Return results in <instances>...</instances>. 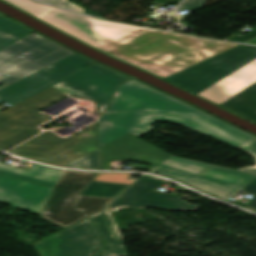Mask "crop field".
Returning <instances> with one entry per match:
<instances>
[{
	"label": "crop field",
	"mask_w": 256,
	"mask_h": 256,
	"mask_svg": "<svg viewBox=\"0 0 256 256\" xmlns=\"http://www.w3.org/2000/svg\"><path fill=\"white\" fill-rule=\"evenodd\" d=\"M38 19L163 79L236 44L101 22L31 0H5Z\"/></svg>",
	"instance_id": "crop-field-1"
},
{
	"label": "crop field",
	"mask_w": 256,
	"mask_h": 256,
	"mask_svg": "<svg viewBox=\"0 0 256 256\" xmlns=\"http://www.w3.org/2000/svg\"><path fill=\"white\" fill-rule=\"evenodd\" d=\"M114 115L138 126L139 129L133 132L137 136L150 131L152 122L166 121L211 136L236 148H241L256 138L133 78L118 87L97 126L100 147L129 133L106 122Z\"/></svg>",
	"instance_id": "crop-field-2"
},
{
	"label": "crop field",
	"mask_w": 256,
	"mask_h": 256,
	"mask_svg": "<svg viewBox=\"0 0 256 256\" xmlns=\"http://www.w3.org/2000/svg\"><path fill=\"white\" fill-rule=\"evenodd\" d=\"M111 70L95 63L0 112V149L6 150L38 133L37 127L48 119L37 110L65 95L92 99L101 105L100 112H104L117 85L129 78Z\"/></svg>",
	"instance_id": "crop-field-3"
},
{
	"label": "crop field",
	"mask_w": 256,
	"mask_h": 256,
	"mask_svg": "<svg viewBox=\"0 0 256 256\" xmlns=\"http://www.w3.org/2000/svg\"><path fill=\"white\" fill-rule=\"evenodd\" d=\"M90 219L107 243L100 256H127L108 209ZM103 245L88 219L35 244L42 256H98Z\"/></svg>",
	"instance_id": "crop-field-4"
},
{
	"label": "crop field",
	"mask_w": 256,
	"mask_h": 256,
	"mask_svg": "<svg viewBox=\"0 0 256 256\" xmlns=\"http://www.w3.org/2000/svg\"><path fill=\"white\" fill-rule=\"evenodd\" d=\"M95 174L64 170L41 217L65 228L104 209L113 199L80 196Z\"/></svg>",
	"instance_id": "crop-field-5"
},
{
	"label": "crop field",
	"mask_w": 256,
	"mask_h": 256,
	"mask_svg": "<svg viewBox=\"0 0 256 256\" xmlns=\"http://www.w3.org/2000/svg\"><path fill=\"white\" fill-rule=\"evenodd\" d=\"M71 53L36 33L6 47L0 51V73L10 75L0 89Z\"/></svg>",
	"instance_id": "crop-field-6"
},
{
	"label": "crop field",
	"mask_w": 256,
	"mask_h": 256,
	"mask_svg": "<svg viewBox=\"0 0 256 256\" xmlns=\"http://www.w3.org/2000/svg\"><path fill=\"white\" fill-rule=\"evenodd\" d=\"M97 148L98 142L93 124L87 127L85 132L66 139L47 132L11 152L32 160L62 166Z\"/></svg>",
	"instance_id": "crop-field-7"
},
{
	"label": "crop field",
	"mask_w": 256,
	"mask_h": 256,
	"mask_svg": "<svg viewBox=\"0 0 256 256\" xmlns=\"http://www.w3.org/2000/svg\"><path fill=\"white\" fill-rule=\"evenodd\" d=\"M256 58V47L239 45L165 80L195 94Z\"/></svg>",
	"instance_id": "crop-field-8"
},
{
	"label": "crop field",
	"mask_w": 256,
	"mask_h": 256,
	"mask_svg": "<svg viewBox=\"0 0 256 256\" xmlns=\"http://www.w3.org/2000/svg\"><path fill=\"white\" fill-rule=\"evenodd\" d=\"M92 63L94 62L74 53L0 90V100L13 105Z\"/></svg>",
	"instance_id": "crop-field-9"
},
{
	"label": "crop field",
	"mask_w": 256,
	"mask_h": 256,
	"mask_svg": "<svg viewBox=\"0 0 256 256\" xmlns=\"http://www.w3.org/2000/svg\"><path fill=\"white\" fill-rule=\"evenodd\" d=\"M169 181L161 178L144 175L134 183L118 200L109 208L117 210L120 207H137L146 206L168 209L195 211L200 206L187 204L180 196L167 195L155 192V189Z\"/></svg>",
	"instance_id": "crop-field-10"
},
{
	"label": "crop field",
	"mask_w": 256,
	"mask_h": 256,
	"mask_svg": "<svg viewBox=\"0 0 256 256\" xmlns=\"http://www.w3.org/2000/svg\"><path fill=\"white\" fill-rule=\"evenodd\" d=\"M254 178L256 175L213 165L185 183L226 200Z\"/></svg>",
	"instance_id": "crop-field-11"
},
{
	"label": "crop field",
	"mask_w": 256,
	"mask_h": 256,
	"mask_svg": "<svg viewBox=\"0 0 256 256\" xmlns=\"http://www.w3.org/2000/svg\"><path fill=\"white\" fill-rule=\"evenodd\" d=\"M53 188L0 175V202L41 215Z\"/></svg>",
	"instance_id": "crop-field-12"
},
{
	"label": "crop field",
	"mask_w": 256,
	"mask_h": 256,
	"mask_svg": "<svg viewBox=\"0 0 256 256\" xmlns=\"http://www.w3.org/2000/svg\"><path fill=\"white\" fill-rule=\"evenodd\" d=\"M103 168L110 170L109 160L132 159L157 165L172 156L157 147L128 134L101 148Z\"/></svg>",
	"instance_id": "crop-field-13"
},
{
	"label": "crop field",
	"mask_w": 256,
	"mask_h": 256,
	"mask_svg": "<svg viewBox=\"0 0 256 256\" xmlns=\"http://www.w3.org/2000/svg\"><path fill=\"white\" fill-rule=\"evenodd\" d=\"M256 82V59L198 95L216 103L236 95Z\"/></svg>",
	"instance_id": "crop-field-14"
},
{
	"label": "crop field",
	"mask_w": 256,
	"mask_h": 256,
	"mask_svg": "<svg viewBox=\"0 0 256 256\" xmlns=\"http://www.w3.org/2000/svg\"><path fill=\"white\" fill-rule=\"evenodd\" d=\"M210 166L209 164L172 156L153 168L151 172L185 182Z\"/></svg>",
	"instance_id": "crop-field-15"
},
{
	"label": "crop field",
	"mask_w": 256,
	"mask_h": 256,
	"mask_svg": "<svg viewBox=\"0 0 256 256\" xmlns=\"http://www.w3.org/2000/svg\"><path fill=\"white\" fill-rule=\"evenodd\" d=\"M62 170L34 164L28 171L0 164V174L55 187Z\"/></svg>",
	"instance_id": "crop-field-16"
},
{
	"label": "crop field",
	"mask_w": 256,
	"mask_h": 256,
	"mask_svg": "<svg viewBox=\"0 0 256 256\" xmlns=\"http://www.w3.org/2000/svg\"><path fill=\"white\" fill-rule=\"evenodd\" d=\"M220 106L256 122V83Z\"/></svg>",
	"instance_id": "crop-field-17"
},
{
	"label": "crop field",
	"mask_w": 256,
	"mask_h": 256,
	"mask_svg": "<svg viewBox=\"0 0 256 256\" xmlns=\"http://www.w3.org/2000/svg\"><path fill=\"white\" fill-rule=\"evenodd\" d=\"M31 33L30 29L0 15V50Z\"/></svg>",
	"instance_id": "crop-field-18"
},
{
	"label": "crop field",
	"mask_w": 256,
	"mask_h": 256,
	"mask_svg": "<svg viewBox=\"0 0 256 256\" xmlns=\"http://www.w3.org/2000/svg\"><path fill=\"white\" fill-rule=\"evenodd\" d=\"M129 185L92 181L82 195L115 198ZM122 193V192H121Z\"/></svg>",
	"instance_id": "crop-field-19"
},
{
	"label": "crop field",
	"mask_w": 256,
	"mask_h": 256,
	"mask_svg": "<svg viewBox=\"0 0 256 256\" xmlns=\"http://www.w3.org/2000/svg\"><path fill=\"white\" fill-rule=\"evenodd\" d=\"M64 167L77 168V169H100L99 151L97 149L85 156H82L64 165Z\"/></svg>",
	"instance_id": "crop-field-20"
},
{
	"label": "crop field",
	"mask_w": 256,
	"mask_h": 256,
	"mask_svg": "<svg viewBox=\"0 0 256 256\" xmlns=\"http://www.w3.org/2000/svg\"><path fill=\"white\" fill-rule=\"evenodd\" d=\"M130 173H107L100 174L95 180L97 181H107V182H116V183H126L131 184L132 180H127Z\"/></svg>",
	"instance_id": "crop-field-21"
},
{
	"label": "crop field",
	"mask_w": 256,
	"mask_h": 256,
	"mask_svg": "<svg viewBox=\"0 0 256 256\" xmlns=\"http://www.w3.org/2000/svg\"><path fill=\"white\" fill-rule=\"evenodd\" d=\"M242 192L255 195L248 206L241 204V201H235L234 204L256 211V180L245 187Z\"/></svg>",
	"instance_id": "crop-field-22"
},
{
	"label": "crop field",
	"mask_w": 256,
	"mask_h": 256,
	"mask_svg": "<svg viewBox=\"0 0 256 256\" xmlns=\"http://www.w3.org/2000/svg\"><path fill=\"white\" fill-rule=\"evenodd\" d=\"M205 0H184L180 6L177 8L178 12L182 11V10H195V9H199L200 7L203 6Z\"/></svg>",
	"instance_id": "crop-field-23"
},
{
	"label": "crop field",
	"mask_w": 256,
	"mask_h": 256,
	"mask_svg": "<svg viewBox=\"0 0 256 256\" xmlns=\"http://www.w3.org/2000/svg\"><path fill=\"white\" fill-rule=\"evenodd\" d=\"M241 149L249 152L250 154H252L253 156L256 157V139L253 140L252 142L248 143ZM255 162H256V159H255ZM241 171L256 174V166L246 167V168L241 169Z\"/></svg>",
	"instance_id": "crop-field-24"
},
{
	"label": "crop field",
	"mask_w": 256,
	"mask_h": 256,
	"mask_svg": "<svg viewBox=\"0 0 256 256\" xmlns=\"http://www.w3.org/2000/svg\"><path fill=\"white\" fill-rule=\"evenodd\" d=\"M41 1L49 3V4H53V5H59V6L65 7V8L73 9V10L84 13V9H82L78 6H75L66 0H41Z\"/></svg>",
	"instance_id": "crop-field-25"
},
{
	"label": "crop field",
	"mask_w": 256,
	"mask_h": 256,
	"mask_svg": "<svg viewBox=\"0 0 256 256\" xmlns=\"http://www.w3.org/2000/svg\"><path fill=\"white\" fill-rule=\"evenodd\" d=\"M107 121H109V122H111V123H113V124H115V125H117V126H119L121 128H124V129H126V130H128L130 132L135 130V129H137V127H135V126H133V125H131V124H129V123H127V122H125V121L115 117V116L112 117L111 119L107 120Z\"/></svg>",
	"instance_id": "crop-field-26"
},
{
	"label": "crop field",
	"mask_w": 256,
	"mask_h": 256,
	"mask_svg": "<svg viewBox=\"0 0 256 256\" xmlns=\"http://www.w3.org/2000/svg\"><path fill=\"white\" fill-rule=\"evenodd\" d=\"M254 37H256V30H254V31H252L250 33H247V34H245L243 36L235 35V36L229 38L228 40L235 41V42H245V41H247L249 39H252Z\"/></svg>",
	"instance_id": "crop-field-27"
},
{
	"label": "crop field",
	"mask_w": 256,
	"mask_h": 256,
	"mask_svg": "<svg viewBox=\"0 0 256 256\" xmlns=\"http://www.w3.org/2000/svg\"><path fill=\"white\" fill-rule=\"evenodd\" d=\"M248 43H255L256 44V38L252 39V40H249L247 41Z\"/></svg>",
	"instance_id": "crop-field-28"
}]
</instances>
